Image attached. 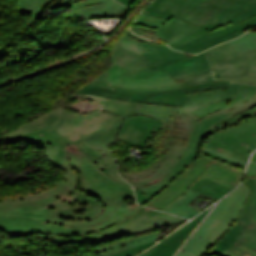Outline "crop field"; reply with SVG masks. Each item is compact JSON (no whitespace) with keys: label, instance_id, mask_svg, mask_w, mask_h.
<instances>
[{"label":"crop field","instance_id":"0bd39190","mask_svg":"<svg viewBox=\"0 0 256 256\" xmlns=\"http://www.w3.org/2000/svg\"><path fill=\"white\" fill-rule=\"evenodd\" d=\"M246 176H256V164L255 163L251 162Z\"/></svg>","mask_w":256,"mask_h":256},{"label":"crop field","instance_id":"730fd06b","mask_svg":"<svg viewBox=\"0 0 256 256\" xmlns=\"http://www.w3.org/2000/svg\"><path fill=\"white\" fill-rule=\"evenodd\" d=\"M185 80L186 81L178 83V85L183 89V91L215 85H230V81L215 82L213 80L211 72L188 77L185 78Z\"/></svg>","mask_w":256,"mask_h":256},{"label":"crop field","instance_id":"00972430","mask_svg":"<svg viewBox=\"0 0 256 256\" xmlns=\"http://www.w3.org/2000/svg\"><path fill=\"white\" fill-rule=\"evenodd\" d=\"M129 10L130 9L126 8L125 6L117 2H113V3L98 4L94 6L81 8L77 11H74L73 15L75 19L85 20V19H91L94 17H102V16L119 14Z\"/></svg>","mask_w":256,"mask_h":256},{"label":"crop field","instance_id":"c035e120","mask_svg":"<svg viewBox=\"0 0 256 256\" xmlns=\"http://www.w3.org/2000/svg\"><path fill=\"white\" fill-rule=\"evenodd\" d=\"M245 35L246 37H248L249 39H251L252 41L256 42V33L254 32H248V33H245L243 34Z\"/></svg>","mask_w":256,"mask_h":256},{"label":"crop field","instance_id":"5a996713","mask_svg":"<svg viewBox=\"0 0 256 256\" xmlns=\"http://www.w3.org/2000/svg\"><path fill=\"white\" fill-rule=\"evenodd\" d=\"M256 105V95L253 96L248 102L243 105L226 112V109L218 111L214 114L208 115L207 117L201 119L195 126L189 142L187 149L199 152L205 139L217 130L227 128L231 125L239 123L233 115L238 114L248 108Z\"/></svg>","mask_w":256,"mask_h":256},{"label":"crop field","instance_id":"028f5c9d","mask_svg":"<svg viewBox=\"0 0 256 256\" xmlns=\"http://www.w3.org/2000/svg\"><path fill=\"white\" fill-rule=\"evenodd\" d=\"M135 194H136V199H137V202L141 205H144L146 204L149 200H151V197H147L145 195H143L142 193H140L139 191H137L135 189Z\"/></svg>","mask_w":256,"mask_h":256},{"label":"crop field","instance_id":"3316defc","mask_svg":"<svg viewBox=\"0 0 256 256\" xmlns=\"http://www.w3.org/2000/svg\"><path fill=\"white\" fill-rule=\"evenodd\" d=\"M211 162L212 161L205 158L198 157L178 177H176L174 181L145 206L161 210L188 189L191 183L211 164Z\"/></svg>","mask_w":256,"mask_h":256},{"label":"crop field","instance_id":"b54c1fbb","mask_svg":"<svg viewBox=\"0 0 256 256\" xmlns=\"http://www.w3.org/2000/svg\"><path fill=\"white\" fill-rule=\"evenodd\" d=\"M251 160L256 162V153L253 155Z\"/></svg>","mask_w":256,"mask_h":256},{"label":"crop field","instance_id":"733c2abd","mask_svg":"<svg viewBox=\"0 0 256 256\" xmlns=\"http://www.w3.org/2000/svg\"><path fill=\"white\" fill-rule=\"evenodd\" d=\"M134 23L158 28L153 33L168 44L198 28L179 19L168 21L143 14H140Z\"/></svg>","mask_w":256,"mask_h":256},{"label":"crop field","instance_id":"d9b57169","mask_svg":"<svg viewBox=\"0 0 256 256\" xmlns=\"http://www.w3.org/2000/svg\"><path fill=\"white\" fill-rule=\"evenodd\" d=\"M210 137L247 148L252 152L256 147V116L240 120L239 124L217 131Z\"/></svg>","mask_w":256,"mask_h":256},{"label":"crop field","instance_id":"bd1437ed","mask_svg":"<svg viewBox=\"0 0 256 256\" xmlns=\"http://www.w3.org/2000/svg\"><path fill=\"white\" fill-rule=\"evenodd\" d=\"M215 80H231L234 82H244V83L256 84V73H247V76L220 78V79H215Z\"/></svg>","mask_w":256,"mask_h":256},{"label":"crop field","instance_id":"214f88e0","mask_svg":"<svg viewBox=\"0 0 256 256\" xmlns=\"http://www.w3.org/2000/svg\"><path fill=\"white\" fill-rule=\"evenodd\" d=\"M200 156L214 161L213 164L209 166L201 175L202 177L231 188H234L237 185L242 175V169H238L224 162L217 161L201 153Z\"/></svg>","mask_w":256,"mask_h":256},{"label":"crop field","instance_id":"d8731c3e","mask_svg":"<svg viewBox=\"0 0 256 256\" xmlns=\"http://www.w3.org/2000/svg\"><path fill=\"white\" fill-rule=\"evenodd\" d=\"M229 86H215L203 89H211V88H227ZM195 91V90H192ZM76 92H83L86 94H96L102 97L123 100V101H135V102H146L153 104H160L166 106H183L188 102V98L184 93L191 92L186 91L183 92L181 88L173 89V90H165V91H154V92H127V91H116L110 90L103 87L85 85L82 88L78 89Z\"/></svg>","mask_w":256,"mask_h":256},{"label":"crop field","instance_id":"ac0d7876","mask_svg":"<svg viewBox=\"0 0 256 256\" xmlns=\"http://www.w3.org/2000/svg\"><path fill=\"white\" fill-rule=\"evenodd\" d=\"M255 5L256 0H152L142 13L168 20L176 17L200 27L169 44L174 49L199 53L256 26V16L236 25L228 20Z\"/></svg>","mask_w":256,"mask_h":256},{"label":"crop field","instance_id":"bc2a9ffb","mask_svg":"<svg viewBox=\"0 0 256 256\" xmlns=\"http://www.w3.org/2000/svg\"><path fill=\"white\" fill-rule=\"evenodd\" d=\"M166 235L157 236L156 232L135 239L114 244L105 248L95 250L98 256H134L149 246L154 245L155 240H160ZM163 239V238H162Z\"/></svg>","mask_w":256,"mask_h":256},{"label":"crop field","instance_id":"f4fd0767","mask_svg":"<svg viewBox=\"0 0 256 256\" xmlns=\"http://www.w3.org/2000/svg\"><path fill=\"white\" fill-rule=\"evenodd\" d=\"M249 192L247 186L241 185L231 196L222 200L183 250L198 256H205L234 224ZM200 236L203 238L200 239Z\"/></svg>","mask_w":256,"mask_h":256},{"label":"crop field","instance_id":"4177f3b9","mask_svg":"<svg viewBox=\"0 0 256 256\" xmlns=\"http://www.w3.org/2000/svg\"><path fill=\"white\" fill-rule=\"evenodd\" d=\"M204 146L213 149V150H217L223 153H226L232 157H235L237 159H240L242 161H247V158L249 156V151L239 148L237 146L222 142V141H217L213 138H208L205 143Z\"/></svg>","mask_w":256,"mask_h":256},{"label":"crop field","instance_id":"750c4746","mask_svg":"<svg viewBox=\"0 0 256 256\" xmlns=\"http://www.w3.org/2000/svg\"><path fill=\"white\" fill-rule=\"evenodd\" d=\"M230 45L234 48L236 52L246 51L256 48V43L252 42L245 36H240L232 41H229Z\"/></svg>","mask_w":256,"mask_h":256},{"label":"crop field","instance_id":"03da06ac","mask_svg":"<svg viewBox=\"0 0 256 256\" xmlns=\"http://www.w3.org/2000/svg\"><path fill=\"white\" fill-rule=\"evenodd\" d=\"M177 256H193V255L180 251V253Z\"/></svg>","mask_w":256,"mask_h":256},{"label":"crop field","instance_id":"e52e79f7","mask_svg":"<svg viewBox=\"0 0 256 256\" xmlns=\"http://www.w3.org/2000/svg\"><path fill=\"white\" fill-rule=\"evenodd\" d=\"M150 70L165 68L173 80L211 71L205 52L189 59L165 45L137 43Z\"/></svg>","mask_w":256,"mask_h":256},{"label":"crop field","instance_id":"d32e631a","mask_svg":"<svg viewBox=\"0 0 256 256\" xmlns=\"http://www.w3.org/2000/svg\"><path fill=\"white\" fill-rule=\"evenodd\" d=\"M201 152L204 153V154H206V155H209V156H211V157H213V158H215V159H218V160H220V161L223 160L224 162L229 163V164H231V165H233V166H236V167H238V168H242V169L244 168V165H241V164H239V163L233 162V161H231V160L222 158V157H220V156H217V155H214V154H211V153L202 151V150H201Z\"/></svg>","mask_w":256,"mask_h":256},{"label":"crop field","instance_id":"5142ce71","mask_svg":"<svg viewBox=\"0 0 256 256\" xmlns=\"http://www.w3.org/2000/svg\"><path fill=\"white\" fill-rule=\"evenodd\" d=\"M244 184L251 190L236 223L246 229L236 240L237 242L256 250V221L251 220L256 213V177H246Z\"/></svg>","mask_w":256,"mask_h":256},{"label":"crop field","instance_id":"a9b5d70f","mask_svg":"<svg viewBox=\"0 0 256 256\" xmlns=\"http://www.w3.org/2000/svg\"><path fill=\"white\" fill-rule=\"evenodd\" d=\"M240 84L232 83L230 92H211L207 94L189 95V102L182 108L192 112L208 103L232 99L235 97Z\"/></svg>","mask_w":256,"mask_h":256},{"label":"crop field","instance_id":"8a807250","mask_svg":"<svg viewBox=\"0 0 256 256\" xmlns=\"http://www.w3.org/2000/svg\"><path fill=\"white\" fill-rule=\"evenodd\" d=\"M120 124L121 118L99 109L79 115L58 108L1 135L0 141L40 147L64 173L58 184L27 195L2 196L0 229L15 237L53 234V224L91 226L109 217L127 197L134 199L108 149L117 144L113 137Z\"/></svg>","mask_w":256,"mask_h":256},{"label":"crop field","instance_id":"34b2d1b8","mask_svg":"<svg viewBox=\"0 0 256 256\" xmlns=\"http://www.w3.org/2000/svg\"><path fill=\"white\" fill-rule=\"evenodd\" d=\"M199 120L200 118L181 108L161 129L167 132V136L158 150L154 165L141 174L120 168V174L143 194L151 197L157 195L197 158L198 153L185 147Z\"/></svg>","mask_w":256,"mask_h":256},{"label":"crop field","instance_id":"1d83c4d3","mask_svg":"<svg viewBox=\"0 0 256 256\" xmlns=\"http://www.w3.org/2000/svg\"><path fill=\"white\" fill-rule=\"evenodd\" d=\"M256 15V6L253 7L252 9H249L243 13H241L240 15L230 19V21H232L234 24L239 23L249 17L255 16Z\"/></svg>","mask_w":256,"mask_h":256},{"label":"crop field","instance_id":"92a150f3","mask_svg":"<svg viewBox=\"0 0 256 256\" xmlns=\"http://www.w3.org/2000/svg\"><path fill=\"white\" fill-rule=\"evenodd\" d=\"M256 94V86L241 84L235 99L209 104L195 112L194 115L203 118L217 110L227 108V111L248 101Z\"/></svg>","mask_w":256,"mask_h":256},{"label":"crop field","instance_id":"b80d0937","mask_svg":"<svg viewBox=\"0 0 256 256\" xmlns=\"http://www.w3.org/2000/svg\"><path fill=\"white\" fill-rule=\"evenodd\" d=\"M128 12H125L123 14H119V15H115V16H110V17H103V18H94V19H113V18H124V16L127 14Z\"/></svg>","mask_w":256,"mask_h":256},{"label":"crop field","instance_id":"dd49c442","mask_svg":"<svg viewBox=\"0 0 256 256\" xmlns=\"http://www.w3.org/2000/svg\"><path fill=\"white\" fill-rule=\"evenodd\" d=\"M184 221L186 220L142 207L137 213L102 231L89 233L83 237L61 238L51 235L47 238H51V240L61 244L68 242L98 244L163 226L180 224Z\"/></svg>","mask_w":256,"mask_h":256},{"label":"crop field","instance_id":"120bbe31","mask_svg":"<svg viewBox=\"0 0 256 256\" xmlns=\"http://www.w3.org/2000/svg\"><path fill=\"white\" fill-rule=\"evenodd\" d=\"M134 32L137 33V34H140L144 37L155 40L157 42L163 41L160 38H158L155 34L152 33L153 30H148V29H144V28H141V27H135Z\"/></svg>","mask_w":256,"mask_h":256},{"label":"crop field","instance_id":"22f410ed","mask_svg":"<svg viewBox=\"0 0 256 256\" xmlns=\"http://www.w3.org/2000/svg\"><path fill=\"white\" fill-rule=\"evenodd\" d=\"M162 123L147 116H130L125 118L122 131L118 139L143 148L152 132H158Z\"/></svg>","mask_w":256,"mask_h":256},{"label":"crop field","instance_id":"4a817a6b","mask_svg":"<svg viewBox=\"0 0 256 256\" xmlns=\"http://www.w3.org/2000/svg\"><path fill=\"white\" fill-rule=\"evenodd\" d=\"M212 208H208L200 215L195 217L196 219L191 220L189 223L184 225L183 227L177 229L172 234L164 238L157 245L148 249L146 252L138 255V256H172V254L176 251L177 247L185 240L186 236L192 231V229L198 224V222L209 212Z\"/></svg>","mask_w":256,"mask_h":256},{"label":"crop field","instance_id":"e1f06a70","mask_svg":"<svg viewBox=\"0 0 256 256\" xmlns=\"http://www.w3.org/2000/svg\"><path fill=\"white\" fill-rule=\"evenodd\" d=\"M202 150H205V151H208V152H211V153L220 155V156H222V157H225V158L234 160V161L239 162V163H242V164H244V165L246 164L245 162H242V161H240V160H237V159H235V158H232V157H230V156H228V155H226V154H223V153H220V152H217V151L210 150V149H208V148H206V147H204V146L202 147Z\"/></svg>","mask_w":256,"mask_h":256},{"label":"crop field","instance_id":"d3111659","mask_svg":"<svg viewBox=\"0 0 256 256\" xmlns=\"http://www.w3.org/2000/svg\"><path fill=\"white\" fill-rule=\"evenodd\" d=\"M221 256H256V252L235 242L232 248L218 253Z\"/></svg>","mask_w":256,"mask_h":256},{"label":"crop field","instance_id":"c21b1889","mask_svg":"<svg viewBox=\"0 0 256 256\" xmlns=\"http://www.w3.org/2000/svg\"><path fill=\"white\" fill-rule=\"evenodd\" d=\"M126 6H129L134 0H117Z\"/></svg>","mask_w":256,"mask_h":256},{"label":"crop field","instance_id":"5d738f31","mask_svg":"<svg viewBox=\"0 0 256 256\" xmlns=\"http://www.w3.org/2000/svg\"><path fill=\"white\" fill-rule=\"evenodd\" d=\"M253 220H256V214H255V216L253 217Z\"/></svg>","mask_w":256,"mask_h":256},{"label":"crop field","instance_id":"cbeb9de0","mask_svg":"<svg viewBox=\"0 0 256 256\" xmlns=\"http://www.w3.org/2000/svg\"><path fill=\"white\" fill-rule=\"evenodd\" d=\"M113 1L114 0H18L17 14L33 13L28 27L34 28L46 8L53 10L55 8L71 5L73 11L80 7Z\"/></svg>","mask_w":256,"mask_h":256},{"label":"crop field","instance_id":"eef30255","mask_svg":"<svg viewBox=\"0 0 256 256\" xmlns=\"http://www.w3.org/2000/svg\"><path fill=\"white\" fill-rule=\"evenodd\" d=\"M190 189L197 190L203 194L218 199L221 196L225 195L231 188L225 187L223 185L200 177L199 179H197L196 183L191 185Z\"/></svg>","mask_w":256,"mask_h":256},{"label":"crop field","instance_id":"28ad6ade","mask_svg":"<svg viewBox=\"0 0 256 256\" xmlns=\"http://www.w3.org/2000/svg\"><path fill=\"white\" fill-rule=\"evenodd\" d=\"M74 94H82L75 93ZM97 97L100 101L101 110L113 113L120 117H127L129 115H147L158 119L161 122H165L181 107H166L160 105L135 103V102H122L107 98Z\"/></svg>","mask_w":256,"mask_h":256},{"label":"crop field","instance_id":"412701ff","mask_svg":"<svg viewBox=\"0 0 256 256\" xmlns=\"http://www.w3.org/2000/svg\"><path fill=\"white\" fill-rule=\"evenodd\" d=\"M136 43L123 35L115 44L112 67L87 84L137 92L178 88L165 69L148 70Z\"/></svg>","mask_w":256,"mask_h":256},{"label":"crop field","instance_id":"5866460e","mask_svg":"<svg viewBox=\"0 0 256 256\" xmlns=\"http://www.w3.org/2000/svg\"><path fill=\"white\" fill-rule=\"evenodd\" d=\"M255 115H256V107L249 109L239 115H236L235 118L239 120V119H243V118H247Z\"/></svg>","mask_w":256,"mask_h":256},{"label":"crop field","instance_id":"d1516ede","mask_svg":"<svg viewBox=\"0 0 256 256\" xmlns=\"http://www.w3.org/2000/svg\"><path fill=\"white\" fill-rule=\"evenodd\" d=\"M206 52L213 69L248 65L247 72H256V49L236 53L228 42H226Z\"/></svg>","mask_w":256,"mask_h":256},{"label":"crop field","instance_id":"dafd665d","mask_svg":"<svg viewBox=\"0 0 256 256\" xmlns=\"http://www.w3.org/2000/svg\"><path fill=\"white\" fill-rule=\"evenodd\" d=\"M196 197H199L201 199L205 198L213 202L215 201V199L211 197L199 194L196 191H191L190 189H188L179 198L167 205L162 211L191 219L195 215H197L199 211L187 205L191 203Z\"/></svg>","mask_w":256,"mask_h":256},{"label":"crop field","instance_id":"ae1a2a85","mask_svg":"<svg viewBox=\"0 0 256 256\" xmlns=\"http://www.w3.org/2000/svg\"><path fill=\"white\" fill-rule=\"evenodd\" d=\"M244 227L234 224L223 236V238L210 250L214 253L230 248L238 236L242 233Z\"/></svg>","mask_w":256,"mask_h":256}]
</instances>
